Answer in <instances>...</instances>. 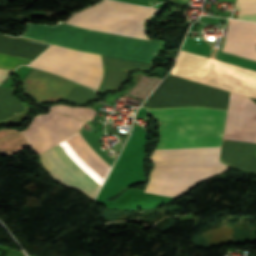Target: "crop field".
<instances>
[{
  "label": "crop field",
  "mask_w": 256,
  "mask_h": 256,
  "mask_svg": "<svg viewBox=\"0 0 256 256\" xmlns=\"http://www.w3.org/2000/svg\"><path fill=\"white\" fill-rule=\"evenodd\" d=\"M220 161L256 174V144L224 140Z\"/></svg>",
  "instance_id": "obj_9"
},
{
  "label": "crop field",
  "mask_w": 256,
  "mask_h": 256,
  "mask_svg": "<svg viewBox=\"0 0 256 256\" xmlns=\"http://www.w3.org/2000/svg\"><path fill=\"white\" fill-rule=\"evenodd\" d=\"M160 123L155 149L221 146L226 111L203 108L149 110ZM221 147L153 150L154 168L144 191L178 198L188 188L230 167Z\"/></svg>",
  "instance_id": "obj_1"
},
{
  "label": "crop field",
  "mask_w": 256,
  "mask_h": 256,
  "mask_svg": "<svg viewBox=\"0 0 256 256\" xmlns=\"http://www.w3.org/2000/svg\"><path fill=\"white\" fill-rule=\"evenodd\" d=\"M95 99H97V97L94 91L75 83L62 101H68L75 104H85Z\"/></svg>",
  "instance_id": "obj_14"
},
{
  "label": "crop field",
  "mask_w": 256,
  "mask_h": 256,
  "mask_svg": "<svg viewBox=\"0 0 256 256\" xmlns=\"http://www.w3.org/2000/svg\"><path fill=\"white\" fill-rule=\"evenodd\" d=\"M57 145L99 187L109 167L91 151L79 135L75 133ZM57 145L39 154L43 167L56 181L81 190L93 200L99 188L62 154Z\"/></svg>",
  "instance_id": "obj_3"
},
{
  "label": "crop field",
  "mask_w": 256,
  "mask_h": 256,
  "mask_svg": "<svg viewBox=\"0 0 256 256\" xmlns=\"http://www.w3.org/2000/svg\"><path fill=\"white\" fill-rule=\"evenodd\" d=\"M236 8L239 11L237 18L245 20L256 19V0H237Z\"/></svg>",
  "instance_id": "obj_16"
},
{
  "label": "crop field",
  "mask_w": 256,
  "mask_h": 256,
  "mask_svg": "<svg viewBox=\"0 0 256 256\" xmlns=\"http://www.w3.org/2000/svg\"><path fill=\"white\" fill-rule=\"evenodd\" d=\"M13 90L0 87V123L17 116L28 107L12 97Z\"/></svg>",
  "instance_id": "obj_12"
},
{
  "label": "crop field",
  "mask_w": 256,
  "mask_h": 256,
  "mask_svg": "<svg viewBox=\"0 0 256 256\" xmlns=\"http://www.w3.org/2000/svg\"><path fill=\"white\" fill-rule=\"evenodd\" d=\"M181 50L256 71V60L214 50L201 40L186 38Z\"/></svg>",
  "instance_id": "obj_11"
},
{
  "label": "crop field",
  "mask_w": 256,
  "mask_h": 256,
  "mask_svg": "<svg viewBox=\"0 0 256 256\" xmlns=\"http://www.w3.org/2000/svg\"><path fill=\"white\" fill-rule=\"evenodd\" d=\"M230 92L168 75L142 105L146 108L205 106L227 109Z\"/></svg>",
  "instance_id": "obj_4"
},
{
  "label": "crop field",
  "mask_w": 256,
  "mask_h": 256,
  "mask_svg": "<svg viewBox=\"0 0 256 256\" xmlns=\"http://www.w3.org/2000/svg\"><path fill=\"white\" fill-rule=\"evenodd\" d=\"M74 82L48 72L32 68L22 80L25 94L38 102L60 100Z\"/></svg>",
  "instance_id": "obj_7"
},
{
  "label": "crop field",
  "mask_w": 256,
  "mask_h": 256,
  "mask_svg": "<svg viewBox=\"0 0 256 256\" xmlns=\"http://www.w3.org/2000/svg\"><path fill=\"white\" fill-rule=\"evenodd\" d=\"M117 1L127 2L131 4H138V5L152 6V0H117Z\"/></svg>",
  "instance_id": "obj_17"
},
{
  "label": "crop field",
  "mask_w": 256,
  "mask_h": 256,
  "mask_svg": "<svg viewBox=\"0 0 256 256\" xmlns=\"http://www.w3.org/2000/svg\"><path fill=\"white\" fill-rule=\"evenodd\" d=\"M30 66L42 68L97 89L103 69L101 56L52 45Z\"/></svg>",
  "instance_id": "obj_5"
},
{
  "label": "crop field",
  "mask_w": 256,
  "mask_h": 256,
  "mask_svg": "<svg viewBox=\"0 0 256 256\" xmlns=\"http://www.w3.org/2000/svg\"><path fill=\"white\" fill-rule=\"evenodd\" d=\"M160 79L156 77L143 76L138 85L131 91H129V93L145 99L149 95V93L156 87Z\"/></svg>",
  "instance_id": "obj_15"
},
{
  "label": "crop field",
  "mask_w": 256,
  "mask_h": 256,
  "mask_svg": "<svg viewBox=\"0 0 256 256\" xmlns=\"http://www.w3.org/2000/svg\"><path fill=\"white\" fill-rule=\"evenodd\" d=\"M103 56V55H102ZM104 63V79L98 91L104 93L105 90L118 89L126 79V74L133 68L150 70L153 65L127 61L122 59L103 56Z\"/></svg>",
  "instance_id": "obj_10"
},
{
  "label": "crop field",
  "mask_w": 256,
  "mask_h": 256,
  "mask_svg": "<svg viewBox=\"0 0 256 256\" xmlns=\"http://www.w3.org/2000/svg\"><path fill=\"white\" fill-rule=\"evenodd\" d=\"M28 146L25 139L16 130H0V155L12 154Z\"/></svg>",
  "instance_id": "obj_13"
},
{
  "label": "crop field",
  "mask_w": 256,
  "mask_h": 256,
  "mask_svg": "<svg viewBox=\"0 0 256 256\" xmlns=\"http://www.w3.org/2000/svg\"><path fill=\"white\" fill-rule=\"evenodd\" d=\"M225 138L256 143V104L231 92Z\"/></svg>",
  "instance_id": "obj_6"
},
{
  "label": "crop field",
  "mask_w": 256,
  "mask_h": 256,
  "mask_svg": "<svg viewBox=\"0 0 256 256\" xmlns=\"http://www.w3.org/2000/svg\"><path fill=\"white\" fill-rule=\"evenodd\" d=\"M48 46L0 36V52L36 57ZM0 53V68L13 70L20 64H29L34 58ZM0 69V82L11 71Z\"/></svg>",
  "instance_id": "obj_8"
},
{
  "label": "crop field",
  "mask_w": 256,
  "mask_h": 256,
  "mask_svg": "<svg viewBox=\"0 0 256 256\" xmlns=\"http://www.w3.org/2000/svg\"><path fill=\"white\" fill-rule=\"evenodd\" d=\"M157 10L159 9L106 0L78 12L66 24L93 31L147 39L143 29L144 20ZM66 24L47 26L29 23L24 37L75 50L150 64L160 44L147 41L148 39L93 32Z\"/></svg>",
  "instance_id": "obj_2"
}]
</instances>
